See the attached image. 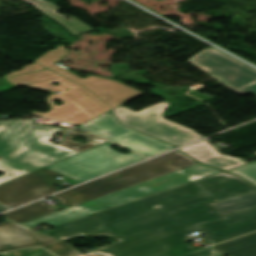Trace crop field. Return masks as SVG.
Masks as SVG:
<instances>
[{"instance_id":"1","label":"crop field","mask_w":256,"mask_h":256,"mask_svg":"<svg viewBox=\"0 0 256 256\" xmlns=\"http://www.w3.org/2000/svg\"><path fill=\"white\" fill-rule=\"evenodd\" d=\"M217 202L195 181L57 226L46 235L64 240L109 235L119 243L91 249L104 256H182L195 249L187 232L198 230L211 243L256 230V208L223 216ZM162 207L152 209L155 205Z\"/></svg>"},{"instance_id":"2","label":"crop field","mask_w":256,"mask_h":256,"mask_svg":"<svg viewBox=\"0 0 256 256\" xmlns=\"http://www.w3.org/2000/svg\"><path fill=\"white\" fill-rule=\"evenodd\" d=\"M0 121V170L17 177L77 154L48 142L59 127Z\"/></svg>"},{"instance_id":"3","label":"crop field","mask_w":256,"mask_h":256,"mask_svg":"<svg viewBox=\"0 0 256 256\" xmlns=\"http://www.w3.org/2000/svg\"><path fill=\"white\" fill-rule=\"evenodd\" d=\"M6 80L15 86L25 85L50 92L61 91V94H51L46 98V101L51 107L48 113L32 111L30 112L31 115L81 125L111 110L110 107L84 87L70 82L48 70L11 77ZM52 81H57L60 85H51ZM67 88H70V90L65 91ZM55 99L62 100V106L53 104L52 100Z\"/></svg>"},{"instance_id":"4","label":"crop field","mask_w":256,"mask_h":256,"mask_svg":"<svg viewBox=\"0 0 256 256\" xmlns=\"http://www.w3.org/2000/svg\"><path fill=\"white\" fill-rule=\"evenodd\" d=\"M218 172L221 171L203 164L194 165L22 224L31 228L42 223L54 226Z\"/></svg>"},{"instance_id":"5","label":"crop field","mask_w":256,"mask_h":256,"mask_svg":"<svg viewBox=\"0 0 256 256\" xmlns=\"http://www.w3.org/2000/svg\"><path fill=\"white\" fill-rule=\"evenodd\" d=\"M198 164L175 150L104 178L53 196L64 208L121 190L123 188L159 177L175 170Z\"/></svg>"},{"instance_id":"6","label":"crop field","mask_w":256,"mask_h":256,"mask_svg":"<svg viewBox=\"0 0 256 256\" xmlns=\"http://www.w3.org/2000/svg\"><path fill=\"white\" fill-rule=\"evenodd\" d=\"M112 145L114 144L108 142L46 168L83 182L145 158L134 153H118L111 149Z\"/></svg>"},{"instance_id":"7","label":"crop field","mask_w":256,"mask_h":256,"mask_svg":"<svg viewBox=\"0 0 256 256\" xmlns=\"http://www.w3.org/2000/svg\"><path fill=\"white\" fill-rule=\"evenodd\" d=\"M169 105V102L163 101L138 112L121 105L111 111L122 125L137 129L177 146L204 138L196 134L194 130L165 120L161 114Z\"/></svg>"},{"instance_id":"8","label":"crop field","mask_w":256,"mask_h":256,"mask_svg":"<svg viewBox=\"0 0 256 256\" xmlns=\"http://www.w3.org/2000/svg\"><path fill=\"white\" fill-rule=\"evenodd\" d=\"M188 62L232 90L256 82V70L246 68V65L213 48L200 51Z\"/></svg>"},{"instance_id":"9","label":"crop field","mask_w":256,"mask_h":256,"mask_svg":"<svg viewBox=\"0 0 256 256\" xmlns=\"http://www.w3.org/2000/svg\"><path fill=\"white\" fill-rule=\"evenodd\" d=\"M77 128L96 133L115 143L123 144L126 148L147 157H152L175 148L119 125L110 111Z\"/></svg>"},{"instance_id":"10","label":"crop field","mask_w":256,"mask_h":256,"mask_svg":"<svg viewBox=\"0 0 256 256\" xmlns=\"http://www.w3.org/2000/svg\"><path fill=\"white\" fill-rule=\"evenodd\" d=\"M60 174L43 168L0 186V203L12 209L60 191L53 184Z\"/></svg>"},{"instance_id":"11","label":"crop field","mask_w":256,"mask_h":256,"mask_svg":"<svg viewBox=\"0 0 256 256\" xmlns=\"http://www.w3.org/2000/svg\"><path fill=\"white\" fill-rule=\"evenodd\" d=\"M35 245L42 246L58 256H101L93 252L84 255L64 241L29 230L9 221L0 224V252Z\"/></svg>"},{"instance_id":"12","label":"crop field","mask_w":256,"mask_h":256,"mask_svg":"<svg viewBox=\"0 0 256 256\" xmlns=\"http://www.w3.org/2000/svg\"><path fill=\"white\" fill-rule=\"evenodd\" d=\"M67 51L65 47L59 46L54 50L47 51L44 55H42L40 58H38L36 63L48 68L49 70L75 82L78 83L85 88H87L89 91H91L96 96L103 94L107 91H110L112 89H115L119 86H122L124 84L118 83L116 81L104 79V78H98L89 76L86 79H81L78 76H76L73 73L68 72V70L62 66H58L54 64L57 60L67 55Z\"/></svg>"},{"instance_id":"13","label":"crop field","mask_w":256,"mask_h":256,"mask_svg":"<svg viewBox=\"0 0 256 256\" xmlns=\"http://www.w3.org/2000/svg\"><path fill=\"white\" fill-rule=\"evenodd\" d=\"M218 201L256 191L246 180L223 172L196 181Z\"/></svg>"},{"instance_id":"14","label":"crop field","mask_w":256,"mask_h":256,"mask_svg":"<svg viewBox=\"0 0 256 256\" xmlns=\"http://www.w3.org/2000/svg\"><path fill=\"white\" fill-rule=\"evenodd\" d=\"M179 150L203 164L222 170L246 164V162L240 159L223 156L217 150H215L207 140L195 143Z\"/></svg>"},{"instance_id":"15","label":"crop field","mask_w":256,"mask_h":256,"mask_svg":"<svg viewBox=\"0 0 256 256\" xmlns=\"http://www.w3.org/2000/svg\"><path fill=\"white\" fill-rule=\"evenodd\" d=\"M213 249L221 255L256 256V233L216 245Z\"/></svg>"},{"instance_id":"16","label":"crop field","mask_w":256,"mask_h":256,"mask_svg":"<svg viewBox=\"0 0 256 256\" xmlns=\"http://www.w3.org/2000/svg\"><path fill=\"white\" fill-rule=\"evenodd\" d=\"M58 211L39 201L15 211L3 214L7 219L22 223Z\"/></svg>"},{"instance_id":"17","label":"crop field","mask_w":256,"mask_h":256,"mask_svg":"<svg viewBox=\"0 0 256 256\" xmlns=\"http://www.w3.org/2000/svg\"><path fill=\"white\" fill-rule=\"evenodd\" d=\"M223 215L256 207V192L211 204Z\"/></svg>"},{"instance_id":"18","label":"crop field","mask_w":256,"mask_h":256,"mask_svg":"<svg viewBox=\"0 0 256 256\" xmlns=\"http://www.w3.org/2000/svg\"><path fill=\"white\" fill-rule=\"evenodd\" d=\"M140 94H142V92L137 91L127 85H124L115 90L100 95L98 96V98H100L111 108H114Z\"/></svg>"},{"instance_id":"19","label":"crop field","mask_w":256,"mask_h":256,"mask_svg":"<svg viewBox=\"0 0 256 256\" xmlns=\"http://www.w3.org/2000/svg\"><path fill=\"white\" fill-rule=\"evenodd\" d=\"M84 134H85V132L71 130L66 135V137L62 140V142L59 143L58 145L68 148L70 150H73L77 153H80L82 151L88 150L90 148L96 147L98 145H101V144L107 142L106 140H103V139L96 137L94 135H91V134H87L85 136V137L89 138L88 140H86V141H88L87 144H79L77 142L70 140L74 135L83 136Z\"/></svg>"},{"instance_id":"20","label":"crop field","mask_w":256,"mask_h":256,"mask_svg":"<svg viewBox=\"0 0 256 256\" xmlns=\"http://www.w3.org/2000/svg\"><path fill=\"white\" fill-rule=\"evenodd\" d=\"M256 185V163L229 170Z\"/></svg>"},{"instance_id":"21","label":"crop field","mask_w":256,"mask_h":256,"mask_svg":"<svg viewBox=\"0 0 256 256\" xmlns=\"http://www.w3.org/2000/svg\"><path fill=\"white\" fill-rule=\"evenodd\" d=\"M0 256H54V255L42 248L33 247L29 249L1 254Z\"/></svg>"},{"instance_id":"22","label":"crop field","mask_w":256,"mask_h":256,"mask_svg":"<svg viewBox=\"0 0 256 256\" xmlns=\"http://www.w3.org/2000/svg\"><path fill=\"white\" fill-rule=\"evenodd\" d=\"M41 69H45L37 64H32V65H27V66H24L23 69L21 71H18V72H12L11 74H9L8 76L10 75H15V74H20V73H25V72H31V71H36V70H41Z\"/></svg>"},{"instance_id":"23","label":"crop field","mask_w":256,"mask_h":256,"mask_svg":"<svg viewBox=\"0 0 256 256\" xmlns=\"http://www.w3.org/2000/svg\"><path fill=\"white\" fill-rule=\"evenodd\" d=\"M214 255H217V254L213 250H211L210 247H208L185 256H214Z\"/></svg>"},{"instance_id":"24","label":"crop field","mask_w":256,"mask_h":256,"mask_svg":"<svg viewBox=\"0 0 256 256\" xmlns=\"http://www.w3.org/2000/svg\"><path fill=\"white\" fill-rule=\"evenodd\" d=\"M240 95H243V94H246V93H253V94H256V83L254 84H251L249 86H246L242 89H239V90H236L234 91Z\"/></svg>"},{"instance_id":"25","label":"crop field","mask_w":256,"mask_h":256,"mask_svg":"<svg viewBox=\"0 0 256 256\" xmlns=\"http://www.w3.org/2000/svg\"><path fill=\"white\" fill-rule=\"evenodd\" d=\"M12 178H14V177H12L10 175H7V174H4V175L0 176V183H3V182H5L7 180H10Z\"/></svg>"},{"instance_id":"26","label":"crop field","mask_w":256,"mask_h":256,"mask_svg":"<svg viewBox=\"0 0 256 256\" xmlns=\"http://www.w3.org/2000/svg\"><path fill=\"white\" fill-rule=\"evenodd\" d=\"M5 210H8V209L0 205V212L5 211Z\"/></svg>"},{"instance_id":"27","label":"crop field","mask_w":256,"mask_h":256,"mask_svg":"<svg viewBox=\"0 0 256 256\" xmlns=\"http://www.w3.org/2000/svg\"><path fill=\"white\" fill-rule=\"evenodd\" d=\"M253 154H255V155H256V153H253Z\"/></svg>"}]
</instances>
